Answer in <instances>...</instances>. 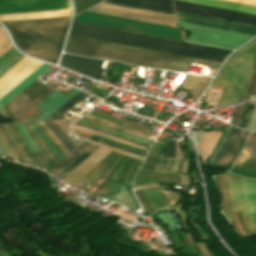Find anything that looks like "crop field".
I'll list each match as a JSON object with an SVG mask.
<instances>
[{
  "instance_id": "crop-field-40",
  "label": "crop field",
  "mask_w": 256,
  "mask_h": 256,
  "mask_svg": "<svg viewBox=\"0 0 256 256\" xmlns=\"http://www.w3.org/2000/svg\"><path fill=\"white\" fill-rule=\"evenodd\" d=\"M73 124L78 125V126L83 127V128H86V129H90V130H93V131H96V132H99V133H103V134H106V135H109V136H112V137H115V138H119V139H122V140H125V141H128V142H131V143H134V144H137V145H141V146H144V147L148 148V146H145V145H142V144L130 141L128 139H125V138H122V137H119V136H116V135H113V134H110V133H107V132H104V131L92 128L90 126H87V125H84V124H81V123H78V122H74Z\"/></svg>"
},
{
  "instance_id": "crop-field-7",
  "label": "crop field",
  "mask_w": 256,
  "mask_h": 256,
  "mask_svg": "<svg viewBox=\"0 0 256 256\" xmlns=\"http://www.w3.org/2000/svg\"><path fill=\"white\" fill-rule=\"evenodd\" d=\"M51 92H53V90L34 82L1 108L0 115L16 122Z\"/></svg>"
},
{
  "instance_id": "crop-field-49",
  "label": "crop field",
  "mask_w": 256,
  "mask_h": 256,
  "mask_svg": "<svg viewBox=\"0 0 256 256\" xmlns=\"http://www.w3.org/2000/svg\"><path fill=\"white\" fill-rule=\"evenodd\" d=\"M8 127H9V129H10V131H11V133H12V135L14 136V138H15V140H16V142H17V144L20 146V148L23 150V152L25 153V155L27 156L28 155V153L24 150V148L20 145V143H19V141H18V139H17V137L15 136V134L13 133V131H12V129H11V127H10V125H8Z\"/></svg>"
},
{
  "instance_id": "crop-field-11",
  "label": "crop field",
  "mask_w": 256,
  "mask_h": 256,
  "mask_svg": "<svg viewBox=\"0 0 256 256\" xmlns=\"http://www.w3.org/2000/svg\"><path fill=\"white\" fill-rule=\"evenodd\" d=\"M71 8L69 0H0V14Z\"/></svg>"
},
{
  "instance_id": "crop-field-43",
  "label": "crop field",
  "mask_w": 256,
  "mask_h": 256,
  "mask_svg": "<svg viewBox=\"0 0 256 256\" xmlns=\"http://www.w3.org/2000/svg\"><path fill=\"white\" fill-rule=\"evenodd\" d=\"M29 125L32 127V129L38 134V136L44 141V143L47 145V147L50 149V151L53 153V155L57 158V160H61L60 157L57 155V153L54 151V149L51 147V145L46 141V139L40 134V132L37 130V128L34 126L33 123H29Z\"/></svg>"
},
{
  "instance_id": "crop-field-47",
  "label": "crop field",
  "mask_w": 256,
  "mask_h": 256,
  "mask_svg": "<svg viewBox=\"0 0 256 256\" xmlns=\"http://www.w3.org/2000/svg\"><path fill=\"white\" fill-rule=\"evenodd\" d=\"M120 156V154H118V156L105 168V170L92 182V184L85 190V192L87 193L89 191V189L96 183V181L103 175V173L112 165V163Z\"/></svg>"
},
{
  "instance_id": "crop-field-41",
  "label": "crop field",
  "mask_w": 256,
  "mask_h": 256,
  "mask_svg": "<svg viewBox=\"0 0 256 256\" xmlns=\"http://www.w3.org/2000/svg\"><path fill=\"white\" fill-rule=\"evenodd\" d=\"M36 127L40 130V132L45 136V138L49 141V143L52 145V147L55 149V151L58 153V155L61 157H65L63 153L59 150V148L56 146V144L52 141V139L43 131V129L40 127L39 123H34Z\"/></svg>"
},
{
  "instance_id": "crop-field-42",
  "label": "crop field",
  "mask_w": 256,
  "mask_h": 256,
  "mask_svg": "<svg viewBox=\"0 0 256 256\" xmlns=\"http://www.w3.org/2000/svg\"><path fill=\"white\" fill-rule=\"evenodd\" d=\"M159 157H150V156H147L142 168L143 169H147V170H153L157 160H158ZM142 169V170H143Z\"/></svg>"
},
{
  "instance_id": "crop-field-10",
  "label": "crop field",
  "mask_w": 256,
  "mask_h": 256,
  "mask_svg": "<svg viewBox=\"0 0 256 256\" xmlns=\"http://www.w3.org/2000/svg\"><path fill=\"white\" fill-rule=\"evenodd\" d=\"M175 10L256 25V16L174 0Z\"/></svg>"
},
{
  "instance_id": "crop-field-1",
  "label": "crop field",
  "mask_w": 256,
  "mask_h": 256,
  "mask_svg": "<svg viewBox=\"0 0 256 256\" xmlns=\"http://www.w3.org/2000/svg\"><path fill=\"white\" fill-rule=\"evenodd\" d=\"M65 52L126 64L186 72L192 59L146 49L69 36Z\"/></svg>"
},
{
  "instance_id": "crop-field-46",
  "label": "crop field",
  "mask_w": 256,
  "mask_h": 256,
  "mask_svg": "<svg viewBox=\"0 0 256 256\" xmlns=\"http://www.w3.org/2000/svg\"><path fill=\"white\" fill-rule=\"evenodd\" d=\"M76 134L79 135V136H83V137H86V138H89V139H93V140H96V141H99V142H102V143H105V144H108V145H111V146H114V147H117V148L129 151V152L135 153V152L130 151V150L126 149V148H123V147H120V146H117V145H114V144H111V143H108V142H105V141H102V140H99V139H96V138H93V137H89V136H86V135H83V134H79V133H76ZM135 154L140 155L142 157L144 156V155L138 154V153H135Z\"/></svg>"
},
{
  "instance_id": "crop-field-9",
  "label": "crop field",
  "mask_w": 256,
  "mask_h": 256,
  "mask_svg": "<svg viewBox=\"0 0 256 256\" xmlns=\"http://www.w3.org/2000/svg\"><path fill=\"white\" fill-rule=\"evenodd\" d=\"M126 160H127V157H125V159L119 166L118 170L116 171L112 179L109 181V184L106 187H104V189L99 193L98 197L107 198L109 200L115 201L117 203H120L126 207H129L135 210L138 208V204L130 191L129 185L137 171L140 161H137V160L135 161L134 165L132 166L124 182L125 184H129V185L116 182Z\"/></svg>"
},
{
  "instance_id": "crop-field-15",
  "label": "crop field",
  "mask_w": 256,
  "mask_h": 256,
  "mask_svg": "<svg viewBox=\"0 0 256 256\" xmlns=\"http://www.w3.org/2000/svg\"><path fill=\"white\" fill-rule=\"evenodd\" d=\"M234 167L256 173V134L251 133L241 150Z\"/></svg>"
},
{
  "instance_id": "crop-field-31",
  "label": "crop field",
  "mask_w": 256,
  "mask_h": 256,
  "mask_svg": "<svg viewBox=\"0 0 256 256\" xmlns=\"http://www.w3.org/2000/svg\"><path fill=\"white\" fill-rule=\"evenodd\" d=\"M230 129H231V126L228 125V126L226 127V129H225V131H224V133H223L221 139L219 140L217 146L215 147L213 153L211 154V156H210V158H209V160L207 161L206 164H208V165H210V166L212 165V163H213V161H214V159H215V157H216V155H217V153H218L220 147L222 146V144H223L225 138L227 137V135H228Z\"/></svg>"
},
{
  "instance_id": "crop-field-44",
  "label": "crop field",
  "mask_w": 256,
  "mask_h": 256,
  "mask_svg": "<svg viewBox=\"0 0 256 256\" xmlns=\"http://www.w3.org/2000/svg\"><path fill=\"white\" fill-rule=\"evenodd\" d=\"M123 158L120 160V162L117 164V166L114 168V170L111 172V174L108 176V178L101 184V186L95 191V193L93 194L94 196H97L98 193L101 191V189L108 183V181L111 179L113 173L115 172V170L117 169V167L119 166V164L122 162Z\"/></svg>"
},
{
  "instance_id": "crop-field-50",
  "label": "crop field",
  "mask_w": 256,
  "mask_h": 256,
  "mask_svg": "<svg viewBox=\"0 0 256 256\" xmlns=\"http://www.w3.org/2000/svg\"><path fill=\"white\" fill-rule=\"evenodd\" d=\"M187 160H183L182 169L180 174H184Z\"/></svg>"
},
{
  "instance_id": "crop-field-23",
  "label": "crop field",
  "mask_w": 256,
  "mask_h": 256,
  "mask_svg": "<svg viewBox=\"0 0 256 256\" xmlns=\"http://www.w3.org/2000/svg\"><path fill=\"white\" fill-rule=\"evenodd\" d=\"M205 135H206V132H204V134L201 137V139L199 140L197 146L199 148L200 155L203 159V162L206 163V161L209 158L210 154L212 153L214 147L216 146L218 140L220 139L222 133L216 132V131L208 132L207 136L205 137L204 141L202 142L201 146L199 147V145Z\"/></svg>"
},
{
  "instance_id": "crop-field-36",
  "label": "crop field",
  "mask_w": 256,
  "mask_h": 256,
  "mask_svg": "<svg viewBox=\"0 0 256 256\" xmlns=\"http://www.w3.org/2000/svg\"><path fill=\"white\" fill-rule=\"evenodd\" d=\"M135 195L137 196L146 215L155 211L150 207V205L148 204L149 202L147 203L142 191L135 192Z\"/></svg>"
},
{
  "instance_id": "crop-field-3",
  "label": "crop field",
  "mask_w": 256,
  "mask_h": 256,
  "mask_svg": "<svg viewBox=\"0 0 256 256\" xmlns=\"http://www.w3.org/2000/svg\"><path fill=\"white\" fill-rule=\"evenodd\" d=\"M70 17L3 23L22 52L56 64Z\"/></svg>"
},
{
  "instance_id": "crop-field-57",
  "label": "crop field",
  "mask_w": 256,
  "mask_h": 256,
  "mask_svg": "<svg viewBox=\"0 0 256 256\" xmlns=\"http://www.w3.org/2000/svg\"><path fill=\"white\" fill-rule=\"evenodd\" d=\"M210 90V89H209ZM209 92V91H208ZM208 94V93H207ZM207 96V95H206Z\"/></svg>"
},
{
  "instance_id": "crop-field-14",
  "label": "crop field",
  "mask_w": 256,
  "mask_h": 256,
  "mask_svg": "<svg viewBox=\"0 0 256 256\" xmlns=\"http://www.w3.org/2000/svg\"><path fill=\"white\" fill-rule=\"evenodd\" d=\"M102 62L101 60L65 54L60 65L98 80Z\"/></svg>"
},
{
  "instance_id": "crop-field-52",
  "label": "crop field",
  "mask_w": 256,
  "mask_h": 256,
  "mask_svg": "<svg viewBox=\"0 0 256 256\" xmlns=\"http://www.w3.org/2000/svg\"><path fill=\"white\" fill-rule=\"evenodd\" d=\"M6 32L3 30V28L0 26V38L5 35Z\"/></svg>"
},
{
  "instance_id": "crop-field-32",
  "label": "crop field",
  "mask_w": 256,
  "mask_h": 256,
  "mask_svg": "<svg viewBox=\"0 0 256 256\" xmlns=\"http://www.w3.org/2000/svg\"><path fill=\"white\" fill-rule=\"evenodd\" d=\"M78 90L71 91L68 95H66L63 99H61L58 103H56L52 108H50L47 112H45L42 116H40L35 121H42L45 119L49 114H51L54 110H56L60 105H62L65 101H67L70 97H72Z\"/></svg>"
},
{
  "instance_id": "crop-field-4",
  "label": "crop field",
  "mask_w": 256,
  "mask_h": 256,
  "mask_svg": "<svg viewBox=\"0 0 256 256\" xmlns=\"http://www.w3.org/2000/svg\"><path fill=\"white\" fill-rule=\"evenodd\" d=\"M256 54V39L234 53L226 62L213 86L224 88L217 108L237 104L239 94L246 95Z\"/></svg>"
},
{
  "instance_id": "crop-field-17",
  "label": "crop field",
  "mask_w": 256,
  "mask_h": 256,
  "mask_svg": "<svg viewBox=\"0 0 256 256\" xmlns=\"http://www.w3.org/2000/svg\"><path fill=\"white\" fill-rule=\"evenodd\" d=\"M14 133L16 134V136L19 138V140L21 141V143L24 145V147L26 148V150L29 152L30 156L28 157H23L22 154L20 153V151L18 150V148L15 146V144L12 142V140L10 139V137L8 136V134L6 133L3 125L0 126V130L3 134V136L5 137V139L7 140V142L10 144V146L15 150V152L17 153L19 160L21 161H25L28 162L30 164L42 167L45 169V159L42 155V153L39 151L35 154H32L31 151L29 150V148L27 147V145L25 144L24 140L22 139V137L20 136V134L18 133L17 129L15 128V126L13 124H10Z\"/></svg>"
},
{
  "instance_id": "crop-field-2",
  "label": "crop field",
  "mask_w": 256,
  "mask_h": 256,
  "mask_svg": "<svg viewBox=\"0 0 256 256\" xmlns=\"http://www.w3.org/2000/svg\"><path fill=\"white\" fill-rule=\"evenodd\" d=\"M76 18V17H75ZM72 35L191 56L222 63L232 51L75 22Z\"/></svg>"
},
{
  "instance_id": "crop-field-55",
  "label": "crop field",
  "mask_w": 256,
  "mask_h": 256,
  "mask_svg": "<svg viewBox=\"0 0 256 256\" xmlns=\"http://www.w3.org/2000/svg\"><path fill=\"white\" fill-rule=\"evenodd\" d=\"M110 64H111V63L109 62V63H108V66H107V68H106L107 70L109 69Z\"/></svg>"
},
{
  "instance_id": "crop-field-30",
  "label": "crop field",
  "mask_w": 256,
  "mask_h": 256,
  "mask_svg": "<svg viewBox=\"0 0 256 256\" xmlns=\"http://www.w3.org/2000/svg\"><path fill=\"white\" fill-rule=\"evenodd\" d=\"M97 147H92L90 150H88L84 155H82L77 161H75L71 166H69L67 169H65L63 172H61L57 177L63 178L66 176L72 169H74L79 163H81L86 157H88L94 150H96Z\"/></svg>"
},
{
  "instance_id": "crop-field-39",
  "label": "crop field",
  "mask_w": 256,
  "mask_h": 256,
  "mask_svg": "<svg viewBox=\"0 0 256 256\" xmlns=\"http://www.w3.org/2000/svg\"><path fill=\"white\" fill-rule=\"evenodd\" d=\"M12 44L7 36V34L5 36H3L0 39V57L6 53L10 48H12Z\"/></svg>"
},
{
  "instance_id": "crop-field-54",
  "label": "crop field",
  "mask_w": 256,
  "mask_h": 256,
  "mask_svg": "<svg viewBox=\"0 0 256 256\" xmlns=\"http://www.w3.org/2000/svg\"><path fill=\"white\" fill-rule=\"evenodd\" d=\"M100 101H101L100 99L96 98L92 103L96 105V104L99 103Z\"/></svg>"
},
{
  "instance_id": "crop-field-8",
  "label": "crop field",
  "mask_w": 256,
  "mask_h": 256,
  "mask_svg": "<svg viewBox=\"0 0 256 256\" xmlns=\"http://www.w3.org/2000/svg\"><path fill=\"white\" fill-rule=\"evenodd\" d=\"M88 11L99 12L109 15H115L125 18H131L146 22H152L162 25L175 27L174 17L171 15L101 2L98 5L88 9Z\"/></svg>"
},
{
  "instance_id": "crop-field-5",
  "label": "crop field",
  "mask_w": 256,
  "mask_h": 256,
  "mask_svg": "<svg viewBox=\"0 0 256 256\" xmlns=\"http://www.w3.org/2000/svg\"><path fill=\"white\" fill-rule=\"evenodd\" d=\"M230 214L240 213L248 235L256 234V181L227 173Z\"/></svg>"
},
{
  "instance_id": "crop-field-21",
  "label": "crop field",
  "mask_w": 256,
  "mask_h": 256,
  "mask_svg": "<svg viewBox=\"0 0 256 256\" xmlns=\"http://www.w3.org/2000/svg\"><path fill=\"white\" fill-rule=\"evenodd\" d=\"M181 1L192 2V3L256 15V7H250V6L240 5V4H234V3L223 2L218 0H181Z\"/></svg>"
},
{
  "instance_id": "crop-field-37",
  "label": "crop field",
  "mask_w": 256,
  "mask_h": 256,
  "mask_svg": "<svg viewBox=\"0 0 256 256\" xmlns=\"http://www.w3.org/2000/svg\"><path fill=\"white\" fill-rule=\"evenodd\" d=\"M247 95L256 96V58Z\"/></svg>"
},
{
  "instance_id": "crop-field-35",
  "label": "crop field",
  "mask_w": 256,
  "mask_h": 256,
  "mask_svg": "<svg viewBox=\"0 0 256 256\" xmlns=\"http://www.w3.org/2000/svg\"><path fill=\"white\" fill-rule=\"evenodd\" d=\"M175 143L167 141L165 146L162 148L159 156L174 157Z\"/></svg>"
},
{
  "instance_id": "crop-field-48",
  "label": "crop field",
  "mask_w": 256,
  "mask_h": 256,
  "mask_svg": "<svg viewBox=\"0 0 256 256\" xmlns=\"http://www.w3.org/2000/svg\"><path fill=\"white\" fill-rule=\"evenodd\" d=\"M227 1L256 6V0H227Z\"/></svg>"
},
{
  "instance_id": "crop-field-12",
  "label": "crop field",
  "mask_w": 256,
  "mask_h": 256,
  "mask_svg": "<svg viewBox=\"0 0 256 256\" xmlns=\"http://www.w3.org/2000/svg\"><path fill=\"white\" fill-rule=\"evenodd\" d=\"M82 139L92 144H95L100 148H98L95 152H93L88 158H86L81 164H79L74 170H72L66 177L62 179L70 185H74L75 183H77L92 168H94L111 150L142 160V157L109 147L107 145H104L92 140H88L85 138H82Z\"/></svg>"
},
{
  "instance_id": "crop-field-22",
  "label": "crop field",
  "mask_w": 256,
  "mask_h": 256,
  "mask_svg": "<svg viewBox=\"0 0 256 256\" xmlns=\"http://www.w3.org/2000/svg\"><path fill=\"white\" fill-rule=\"evenodd\" d=\"M91 147L92 145L84 143L83 145L75 149L72 153L67 155L64 159H62L57 164H55L47 172L56 176L58 173H60L63 169H65L67 166L73 163L76 159H78L83 153H85Z\"/></svg>"
},
{
  "instance_id": "crop-field-51",
  "label": "crop field",
  "mask_w": 256,
  "mask_h": 256,
  "mask_svg": "<svg viewBox=\"0 0 256 256\" xmlns=\"http://www.w3.org/2000/svg\"><path fill=\"white\" fill-rule=\"evenodd\" d=\"M249 97L250 96H241L239 102L247 101L249 99Z\"/></svg>"
},
{
  "instance_id": "crop-field-20",
  "label": "crop field",
  "mask_w": 256,
  "mask_h": 256,
  "mask_svg": "<svg viewBox=\"0 0 256 256\" xmlns=\"http://www.w3.org/2000/svg\"><path fill=\"white\" fill-rule=\"evenodd\" d=\"M64 95L54 91L42 102H40L36 107H34L30 112L23 116L19 121H34L46 110H48L52 105L59 101Z\"/></svg>"
},
{
  "instance_id": "crop-field-29",
  "label": "crop field",
  "mask_w": 256,
  "mask_h": 256,
  "mask_svg": "<svg viewBox=\"0 0 256 256\" xmlns=\"http://www.w3.org/2000/svg\"><path fill=\"white\" fill-rule=\"evenodd\" d=\"M172 161L173 159L160 157L153 171L178 174L182 160L174 159L169 172Z\"/></svg>"
},
{
  "instance_id": "crop-field-6",
  "label": "crop field",
  "mask_w": 256,
  "mask_h": 256,
  "mask_svg": "<svg viewBox=\"0 0 256 256\" xmlns=\"http://www.w3.org/2000/svg\"><path fill=\"white\" fill-rule=\"evenodd\" d=\"M177 23L181 29L193 32L188 39L189 41L200 42L220 47L236 49L253 37L252 35L229 32L179 22ZM243 35L245 36V38L243 37Z\"/></svg>"
},
{
  "instance_id": "crop-field-45",
  "label": "crop field",
  "mask_w": 256,
  "mask_h": 256,
  "mask_svg": "<svg viewBox=\"0 0 256 256\" xmlns=\"http://www.w3.org/2000/svg\"><path fill=\"white\" fill-rule=\"evenodd\" d=\"M247 129L256 131V101H255V104H254V109H253L251 121H250V124H249Z\"/></svg>"
},
{
  "instance_id": "crop-field-16",
  "label": "crop field",
  "mask_w": 256,
  "mask_h": 256,
  "mask_svg": "<svg viewBox=\"0 0 256 256\" xmlns=\"http://www.w3.org/2000/svg\"><path fill=\"white\" fill-rule=\"evenodd\" d=\"M105 1L173 14L172 0H105Z\"/></svg>"
},
{
  "instance_id": "crop-field-34",
  "label": "crop field",
  "mask_w": 256,
  "mask_h": 256,
  "mask_svg": "<svg viewBox=\"0 0 256 256\" xmlns=\"http://www.w3.org/2000/svg\"><path fill=\"white\" fill-rule=\"evenodd\" d=\"M245 105L237 106L235 110V115L233 119L231 120V124L236 125V126H241L244 110H245Z\"/></svg>"
},
{
  "instance_id": "crop-field-56",
  "label": "crop field",
  "mask_w": 256,
  "mask_h": 256,
  "mask_svg": "<svg viewBox=\"0 0 256 256\" xmlns=\"http://www.w3.org/2000/svg\"><path fill=\"white\" fill-rule=\"evenodd\" d=\"M117 108H120V109H122V106H119V105H117Z\"/></svg>"
},
{
  "instance_id": "crop-field-33",
  "label": "crop field",
  "mask_w": 256,
  "mask_h": 256,
  "mask_svg": "<svg viewBox=\"0 0 256 256\" xmlns=\"http://www.w3.org/2000/svg\"><path fill=\"white\" fill-rule=\"evenodd\" d=\"M16 128L18 129L19 133L21 134V136L23 137V139L25 140V142L28 144V146L30 147V149L34 152L38 151L39 149L37 148V146L33 143V141L30 139V137L27 135V133L25 132L22 124H18L15 125Z\"/></svg>"
},
{
  "instance_id": "crop-field-26",
  "label": "crop field",
  "mask_w": 256,
  "mask_h": 256,
  "mask_svg": "<svg viewBox=\"0 0 256 256\" xmlns=\"http://www.w3.org/2000/svg\"><path fill=\"white\" fill-rule=\"evenodd\" d=\"M211 78L207 77H192L188 76L182 87L184 88H189L194 90L191 95L193 96L194 100H197V98L200 96L208 82L210 81Z\"/></svg>"
},
{
  "instance_id": "crop-field-19",
  "label": "crop field",
  "mask_w": 256,
  "mask_h": 256,
  "mask_svg": "<svg viewBox=\"0 0 256 256\" xmlns=\"http://www.w3.org/2000/svg\"><path fill=\"white\" fill-rule=\"evenodd\" d=\"M50 68L51 66L45 64L40 66L36 71H34L30 76H28L24 81H22L18 86H16L0 100V108L8 103L11 99H13L16 95H18L21 91H23L26 87H28L31 83L37 80L39 75L41 76Z\"/></svg>"
},
{
  "instance_id": "crop-field-24",
  "label": "crop field",
  "mask_w": 256,
  "mask_h": 256,
  "mask_svg": "<svg viewBox=\"0 0 256 256\" xmlns=\"http://www.w3.org/2000/svg\"><path fill=\"white\" fill-rule=\"evenodd\" d=\"M46 125L69 153L78 147L58 121L47 122Z\"/></svg>"
},
{
  "instance_id": "crop-field-27",
  "label": "crop field",
  "mask_w": 256,
  "mask_h": 256,
  "mask_svg": "<svg viewBox=\"0 0 256 256\" xmlns=\"http://www.w3.org/2000/svg\"><path fill=\"white\" fill-rule=\"evenodd\" d=\"M87 94L79 91L72 98H70L67 102H65L61 107H59L56 111H54L51 115H49L43 121H52L57 120L63 114H65L69 109H71L79 100L84 98Z\"/></svg>"
},
{
  "instance_id": "crop-field-38",
  "label": "crop field",
  "mask_w": 256,
  "mask_h": 256,
  "mask_svg": "<svg viewBox=\"0 0 256 256\" xmlns=\"http://www.w3.org/2000/svg\"><path fill=\"white\" fill-rule=\"evenodd\" d=\"M235 131H236V128L232 127V129H231V131H230L228 137L226 138V140H225L223 146L221 147V149H220V151H219V153H218V155H217V157H216V159H215V161H214L212 167H216V165H217V163H218L220 157L222 156V154H223L225 148L227 147V145H228L229 141L231 140L232 136L234 135Z\"/></svg>"
},
{
  "instance_id": "crop-field-53",
  "label": "crop field",
  "mask_w": 256,
  "mask_h": 256,
  "mask_svg": "<svg viewBox=\"0 0 256 256\" xmlns=\"http://www.w3.org/2000/svg\"><path fill=\"white\" fill-rule=\"evenodd\" d=\"M0 155L8 158L7 155L5 154V152L3 151V149L1 148V146H0Z\"/></svg>"
},
{
  "instance_id": "crop-field-18",
  "label": "crop field",
  "mask_w": 256,
  "mask_h": 256,
  "mask_svg": "<svg viewBox=\"0 0 256 256\" xmlns=\"http://www.w3.org/2000/svg\"><path fill=\"white\" fill-rule=\"evenodd\" d=\"M71 9L0 15V21L70 16Z\"/></svg>"
},
{
  "instance_id": "crop-field-13",
  "label": "crop field",
  "mask_w": 256,
  "mask_h": 256,
  "mask_svg": "<svg viewBox=\"0 0 256 256\" xmlns=\"http://www.w3.org/2000/svg\"><path fill=\"white\" fill-rule=\"evenodd\" d=\"M176 19L179 22H185L190 24L202 25L207 27H213L218 29H224L229 31L241 32L246 34L256 35V27L230 23L210 18H204L189 14H183L176 12Z\"/></svg>"
},
{
  "instance_id": "crop-field-28",
  "label": "crop field",
  "mask_w": 256,
  "mask_h": 256,
  "mask_svg": "<svg viewBox=\"0 0 256 256\" xmlns=\"http://www.w3.org/2000/svg\"><path fill=\"white\" fill-rule=\"evenodd\" d=\"M78 122H81V123L93 126L95 128H98V129H101V130H104V131H107V132H110V133H113V134H116V135H119V136H122V137H125V138H128L130 140H133V141H136V142L148 145V146L151 144V141H148V140L136 137V136H132V135H129V134H126V133H123V132L111 129L109 127L100 125L98 123L89 121V120L84 119V118L80 119Z\"/></svg>"
},
{
  "instance_id": "crop-field-25",
  "label": "crop field",
  "mask_w": 256,
  "mask_h": 256,
  "mask_svg": "<svg viewBox=\"0 0 256 256\" xmlns=\"http://www.w3.org/2000/svg\"><path fill=\"white\" fill-rule=\"evenodd\" d=\"M245 131L238 130L230 141L228 147L226 148L222 158L220 159L217 168L226 170L235 150L237 149Z\"/></svg>"
}]
</instances>
